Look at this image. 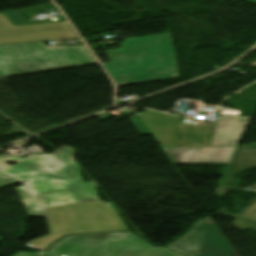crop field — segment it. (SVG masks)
Masks as SVG:
<instances>
[{"label":"crop field","instance_id":"1","mask_svg":"<svg viewBox=\"0 0 256 256\" xmlns=\"http://www.w3.org/2000/svg\"><path fill=\"white\" fill-rule=\"evenodd\" d=\"M74 150L64 145L50 155L0 157V172L23 182L41 207L99 201L95 183L83 182L79 164L69 160Z\"/></svg>","mask_w":256,"mask_h":256},{"label":"crop field","instance_id":"2","mask_svg":"<svg viewBox=\"0 0 256 256\" xmlns=\"http://www.w3.org/2000/svg\"><path fill=\"white\" fill-rule=\"evenodd\" d=\"M106 53L118 87L178 77L170 32L126 39Z\"/></svg>","mask_w":256,"mask_h":256},{"label":"crop field","instance_id":"3","mask_svg":"<svg viewBox=\"0 0 256 256\" xmlns=\"http://www.w3.org/2000/svg\"><path fill=\"white\" fill-rule=\"evenodd\" d=\"M83 47L49 49L42 42L0 46L2 78L94 65Z\"/></svg>","mask_w":256,"mask_h":256},{"label":"crop field","instance_id":"4","mask_svg":"<svg viewBox=\"0 0 256 256\" xmlns=\"http://www.w3.org/2000/svg\"><path fill=\"white\" fill-rule=\"evenodd\" d=\"M183 256L156 248L131 232L68 236L48 252H18L13 256Z\"/></svg>","mask_w":256,"mask_h":256},{"label":"crop field","instance_id":"5","mask_svg":"<svg viewBox=\"0 0 256 256\" xmlns=\"http://www.w3.org/2000/svg\"><path fill=\"white\" fill-rule=\"evenodd\" d=\"M167 247L187 256H238L210 217Z\"/></svg>","mask_w":256,"mask_h":256},{"label":"crop field","instance_id":"6","mask_svg":"<svg viewBox=\"0 0 256 256\" xmlns=\"http://www.w3.org/2000/svg\"><path fill=\"white\" fill-rule=\"evenodd\" d=\"M15 189L18 195L20 196V198L22 199L29 216L46 218L44 208L37 207L33 204L25 187H20Z\"/></svg>","mask_w":256,"mask_h":256},{"label":"crop field","instance_id":"7","mask_svg":"<svg viewBox=\"0 0 256 256\" xmlns=\"http://www.w3.org/2000/svg\"><path fill=\"white\" fill-rule=\"evenodd\" d=\"M231 225L235 226L236 228L242 231L246 229L256 230V223L248 222V221L237 219V218H235V220Z\"/></svg>","mask_w":256,"mask_h":256},{"label":"crop field","instance_id":"8","mask_svg":"<svg viewBox=\"0 0 256 256\" xmlns=\"http://www.w3.org/2000/svg\"><path fill=\"white\" fill-rule=\"evenodd\" d=\"M240 217L256 221V203H254L246 212Z\"/></svg>","mask_w":256,"mask_h":256},{"label":"crop field","instance_id":"9","mask_svg":"<svg viewBox=\"0 0 256 256\" xmlns=\"http://www.w3.org/2000/svg\"><path fill=\"white\" fill-rule=\"evenodd\" d=\"M16 183H19V182L0 174V188L6 187L12 184H16Z\"/></svg>","mask_w":256,"mask_h":256},{"label":"crop field","instance_id":"10","mask_svg":"<svg viewBox=\"0 0 256 256\" xmlns=\"http://www.w3.org/2000/svg\"><path fill=\"white\" fill-rule=\"evenodd\" d=\"M245 1L252 2V3L256 4V0H245Z\"/></svg>","mask_w":256,"mask_h":256},{"label":"crop field","instance_id":"11","mask_svg":"<svg viewBox=\"0 0 256 256\" xmlns=\"http://www.w3.org/2000/svg\"><path fill=\"white\" fill-rule=\"evenodd\" d=\"M0 78H1V76H0Z\"/></svg>","mask_w":256,"mask_h":256},{"label":"crop field","instance_id":"12","mask_svg":"<svg viewBox=\"0 0 256 256\" xmlns=\"http://www.w3.org/2000/svg\"><path fill=\"white\" fill-rule=\"evenodd\" d=\"M173 162V161H172ZM175 165V164H174Z\"/></svg>","mask_w":256,"mask_h":256}]
</instances>
